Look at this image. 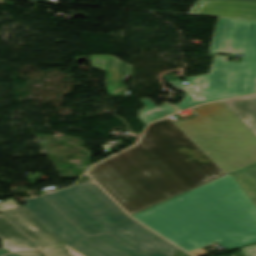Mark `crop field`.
Returning a JSON list of instances; mask_svg holds the SVG:
<instances>
[{
  "instance_id": "7",
  "label": "crop field",
  "mask_w": 256,
  "mask_h": 256,
  "mask_svg": "<svg viewBox=\"0 0 256 256\" xmlns=\"http://www.w3.org/2000/svg\"><path fill=\"white\" fill-rule=\"evenodd\" d=\"M3 206V207H1ZM0 212L29 237L39 243L44 251L18 254L21 256H85L62 243L29 210L14 203V199L0 204ZM15 214V215H12ZM28 226V227H26Z\"/></svg>"
},
{
  "instance_id": "10",
  "label": "crop field",
  "mask_w": 256,
  "mask_h": 256,
  "mask_svg": "<svg viewBox=\"0 0 256 256\" xmlns=\"http://www.w3.org/2000/svg\"><path fill=\"white\" fill-rule=\"evenodd\" d=\"M93 67L107 72L106 88L110 96H125L124 82L131 76L130 65L113 56H91Z\"/></svg>"
},
{
  "instance_id": "11",
  "label": "crop field",
  "mask_w": 256,
  "mask_h": 256,
  "mask_svg": "<svg viewBox=\"0 0 256 256\" xmlns=\"http://www.w3.org/2000/svg\"><path fill=\"white\" fill-rule=\"evenodd\" d=\"M0 240L2 247L11 252L38 251L40 247L35 245L17 228L0 215Z\"/></svg>"
},
{
  "instance_id": "14",
  "label": "crop field",
  "mask_w": 256,
  "mask_h": 256,
  "mask_svg": "<svg viewBox=\"0 0 256 256\" xmlns=\"http://www.w3.org/2000/svg\"><path fill=\"white\" fill-rule=\"evenodd\" d=\"M232 256H256V245L242 248V251Z\"/></svg>"
},
{
  "instance_id": "16",
  "label": "crop field",
  "mask_w": 256,
  "mask_h": 256,
  "mask_svg": "<svg viewBox=\"0 0 256 256\" xmlns=\"http://www.w3.org/2000/svg\"><path fill=\"white\" fill-rule=\"evenodd\" d=\"M8 256H18V255H16V254H12V255H8Z\"/></svg>"
},
{
  "instance_id": "5",
  "label": "crop field",
  "mask_w": 256,
  "mask_h": 256,
  "mask_svg": "<svg viewBox=\"0 0 256 256\" xmlns=\"http://www.w3.org/2000/svg\"><path fill=\"white\" fill-rule=\"evenodd\" d=\"M210 52L244 55L226 62L217 100L256 93V21L219 18Z\"/></svg>"
},
{
  "instance_id": "12",
  "label": "crop field",
  "mask_w": 256,
  "mask_h": 256,
  "mask_svg": "<svg viewBox=\"0 0 256 256\" xmlns=\"http://www.w3.org/2000/svg\"><path fill=\"white\" fill-rule=\"evenodd\" d=\"M223 102L256 134V95Z\"/></svg>"
},
{
  "instance_id": "15",
  "label": "crop field",
  "mask_w": 256,
  "mask_h": 256,
  "mask_svg": "<svg viewBox=\"0 0 256 256\" xmlns=\"http://www.w3.org/2000/svg\"><path fill=\"white\" fill-rule=\"evenodd\" d=\"M6 253H10V252L5 250V249H3V248H0V255L6 254Z\"/></svg>"
},
{
  "instance_id": "6",
  "label": "crop field",
  "mask_w": 256,
  "mask_h": 256,
  "mask_svg": "<svg viewBox=\"0 0 256 256\" xmlns=\"http://www.w3.org/2000/svg\"><path fill=\"white\" fill-rule=\"evenodd\" d=\"M25 200V207L61 241L87 256H145L107 233L87 237L43 196Z\"/></svg>"
},
{
  "instance_id": "8",
  "label": "crop field",
  "mask_w": 256,
  "mask_h": 256,
  "mask_svg": "<svg viewBox=\"0 0 256 256\" xmlns=\"http://www.w3.org/2000/svg\"><path fill=\"white\" fill-rule=\"evenodd\" d=\"M228 57L216 56L209 75L188 78L191 85H183L174 75L164 77L174 88L186 92L183 100L176 105L179 110L189 108L217 98L225 61Z\"/></svg>"
},
{
  "instance_id": "9",
  "label": "crop field",
  "mask_w": 256,
  "mask_h": 256,
  "mask_svg": "<svg viewBox=\"0 0 256 256\" xmlns=\"http://www.w3.org/2000/svg\"><path fill=\"white\" fill-rule=\"evenodd\" d=\"M191 13L232 19L256 20V2L202 0L197 3Z\"/></svg>"
},
{
  "instance_id": "1",
  "label": "crop field",
  "mask_w": 256,
  "mask_h": 256,
  "mask_svg": "<svg viewBox=\"0 0 256 256\" xmlns=\"http://www.w3.org/2000/svg\"><path fill=\"white\" fill-rule=\"evenodd\" d=\"M89 174L130 215L225 175L168 118L149 125L138 145Z\"/></svg>"
},
{
  "instance_id": "2",
  "label": "crop field",
  "mask_w": 256,
  "mask_h": 256,
  "mask_svg": "<svg viewBox=\"0 0 256 256\" xmlns=\"http://www.w3.org/2000/svg\"><path fill=\"white\" fill-rule=\"evenodd\" d=\"M133 217L188 252L256 241V207L230 174Z\"/></svg>"
},
{
  "instance_id": "3",
  "label": "crop field",
  "mask_w": 256,
  "mask_h": 256,
  "mask_svg": "<svg viewBox=\"0 0 256 256\" xmlns=\"http://www.w3.org/2000/svg\"><path fill=\"white\" fill-rule=\"evenodd\" d=\"M44 197L87 236L107 232L146 256H189L131 219L86 175Z\"/></svg>"
},
{
  "instance_id": "13",
  "label": "crop field",
  "mask_w": 256,
  "mask_h": 256,
  "mask_svg": "<svg viewBox=\"0 0 256 256\" xmlns=\"http://www.w3.org/2000/svg\"><path fill=\"white\" fill-rule=\"evenodd\" d=\"M142 101L148 106L147 109L141 111L139 116V119H141L145 125L148 122L176 112V110H174V107L167 103L159 108H156L149 99H142Z\"/></svg>"
},
{
  "instance_id": "4",
  "label": "crop field",
  "mask_w": 256,
  "mask_h": 256,
  "mask_svg": "<svg viewBox=\"0 0 256 256\" xmlns=\"http://www.w3.org/2000/svg\"><path fill=\"white\" fill-rule=\"evenodd\" d=\"M200 116L176 123L256 205V135L222 102L193 108Z\"/></svg>"
},
{
  "instance_id": "17",
  "label": "crop field",
  "mask_w": 256,
  "mask_h": 256,
  "mask_svg": "<svg viewBox=\"0 0 256 256\" xmlns=\"http://www.w3.org/2000/svg\"><path fill=\"white\" fill-rule=\"evenodd\" d=\"M248 1H256V0H248Z\"/></svg>"
}]
</instances>
